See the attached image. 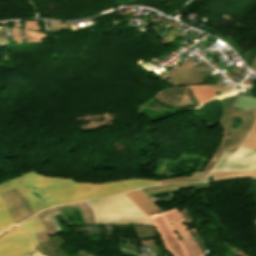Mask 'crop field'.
<instances>
[{"label": "crop field", "mask_w": 256, "mask_h": 256, "mask_svg": "<svg viewBox=\"0 0 256 256\" xmlns=\"http://www.w3.org/2000/svg\"><path fill=\"white\" fill-rule=\"evenodd\" d=\"M31 250L29 237L20 227L0 238V256H24Z\"/></svg>", "instance_id": "412701ff"}, {"label": "crop field", "mask_w": 256, "mask_h": 256, "mask_svg": "<svg viewBox=\"0 0 256 256\" xmlns=\"http://www.w3.org/2000/svg\"><path fill=\"white\" fill-rule=\"evenodd\" d=\"M252 174H256V167L251 168L246 171L215 172V173H212V176H213V178H218V177H230V176H241V175H252ZM253 176H256V175L231 177V178H242V177H253ZM231 178H219V179H231ZM219 179H213V180H219Z\"/></svg>", "instance_id": "3316defc"}, {"label": "crop field", "mask_w": 256, "mask_h": 256, "mask_svg": "<svg viewBox=\"0 0 256 256\" xmlns=\"http://www.w3.org/2000/svg\"><path fill=\"white\" fill-rule=\"evenodd\" d=\"M30 256H44V255L37 251V252H35L34 254H32Z\"/></svg>", "instance_id": "22f410ed"}, {"label": "crop field", "mask_w": 256, "mask_h": 256, "mask_svg": "<svg viewBox=\"0 0 256 256\" xmlns=\"http://www.w3.org/2000/svg\"><path fill=\"white\" fill-rule=\"evenodd\" d=\"M183 181H207V175H205L204 173H192L191 176L161 180L159 181V183L163 184V183L183 182Z\"/></svg>", "instance_id": "28ad6ade"}, {"label": "crop field", "mask_w": 256, "mask_h": 256, "mask_svg": "<svg viewBox=\"0 0 256 256\" xmlns=\"http://www.w3.org/2000/svg\"><path fill=\"white\" fill-rule=\"evenodd\" d=\"M1 195L16 223L33 214L27 202L15 189Z\"/></svg>", "instance_id": "dd49c442"}, {"label": "crop field", "mask_w": 256, "mask_h": 256, "mask_svg": "<svg viewBox=\"0 0 256 256\" xmlns=\"http://www.w3.org/2000/svg\"><path fill=\"white\" fill-rule=\"evenodd\" d=\"M95 211L97 223L152 224V221L124 194L88 202ZM155 226V225H154Z\"/></svg>", "instance_id": "ac0d7876"}, {"label": "crop field", "mask_w": 256, "mask_h": 256, "mask_svg": "<svg viewBox=\"0 0 256 256\" xmlns=\"http://www.w3.org/2000/svg\"><path fill=\"white\" fill-rule=\"evenodd\" d=\"M15 188L26 186L37 192L48 203L57 205L81 200L94 199L106 195L116 194L137 187L158 184L150 180H127L115 183L83 184L70 179L42 177L28 172L20 177L8 181Z\"/></svg>", "instance_id": "8a807250"}, {"label": "crop field", "mask_w": 256, "mask_h": 256, "mask_svg": "<svg viewBox=\"0 0 256 256\" xmlns=\"http://www.w3.org/2000/svg\"><path fill=\"white\" fill-rule=\"evenodd\" d=\"M190 89L199 104L208 102L216 95L211 85L191 86Z\"/></svg>", "instance_id": "d8731c3e"}, {"label": "crop field", "mask_w": 256, "mask_h": 256, "mask_svg": "<svg viewBox=\"0 0 256 256\" xmlns=\"http://www.w3.org/2000/svg\"><path fill=\"white\" fill-rule=\"evenodd\" d=\"M20 225L30 234L33 241V245L34 247H36L37 238L35 232L45 229L41 221L37 217H34Z\"/></svg>", "instance_id": "5a996713"}, {"label": "crop field", "mask_w": 256, "mask_h": 256, "mask_svg": "<svg viewBox=\"0 0 256 256\" xmlns=\"http://www.w3.org/2000/svg\"><path fill=\"white\" fill-rule=\"evenodd\" d=\"M7 43H8V40H7L6 30L5 28H3V30L0 32V45H4Z\"/></svg>", "instance_id": "d1516ede"}, {"label": "crop field", "mask_w": 256, "mask_h": 256, "mask_svg": "<svg viewBox=\"0 0 256 256\" xmlns=\"http://www.w3.org/2000/svg\"><path fill=\"white\" fill-rule=\"evenodd\" d=\"M14 188L11 186L7 181L0 184V193L7 191L9 189ZM28 201L32 211L35 213L40 211L44 208L50 207L51 205L46 204L42 201L41 198L36 197L34 194L31 193L27 188L24 186L16 188ZM15 223L12 217L10 216L1 196H0V231L4 228L10 226L11 224Z\"/></svg>", "instance_id": "f4fd0767"}, {"label": "crop field", "mask_w": 256, "mask_h": 256, "mask_svg": "<svg viewBox=\"0 0 256 256\" xmlns=\"http://www.w3.org/2000/svg\"><path fill=\"white\" fill-rule=\"evenodd\" d=\"M145 214L161 212V210L141 191H133L125 194Z\"/></svg>", "instance_id": "e52e79f7"}, {"label": "crop field", "mask_w": 256, "mask_h": 256, "mask_svg": "<svg viewBox=\"0 0 256 256\" xmlns=\"http://www.w3.org/2000/svg\"><path fill=\"white\" fill-rule=\"evenodd\" d=\"M254 166H256V149L239 147L234 153L223 152L210 172L246 170Z\"/></svg>", "instance_id": "34b2d1b8"}]
</instances>
